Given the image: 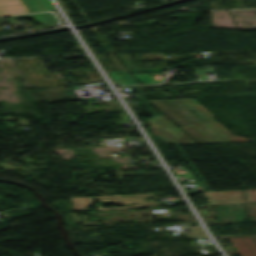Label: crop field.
<instances>
[{"mask_svg": "<svg viewBox=\"0 0 256 256\" xmlns=\"http://www.w3.org/2000/svg\"><path fill=\"white\" fill-rule=\"evenodd\" d=\"M252 238H253V237H252ZM254 238H255V240H256V237H254ZM254 238H253V239H254Z\"/></svg>", "mask_w": 256, "mask_h": 256, "instance_id": "crop-field-11", "label": "crop field"}, {"mask_svg": "<svg viewBox=\"0 0 256 256\" xmlns=\"http://www.w3.org/2000/svg\"><path fill=\"white\" fill-rule=\"evenodd\" d=\"M150 127L174 125L163 115H154L148 119Z\"/></svg>", "mask_w": 256, "mask_h": 256, "instance_id": "crop-field-9", "label": "crop field"}, {"mask_svg": "<svg viewBox=\"0 0 256 256\" xmlns=\"http://www.w3.org/2000/svg\"><path fill=\"white\" fill-rule=\"evenodd\" d=\"M7 20L9 21V22H12V21H14L13 19H11V18H7Z\"/></svg>", "mask_w": 256, "mask_h": 256, "instance_id": "crop-field-10", "label": "crop field"}, {"mask_svg": "<svg viewBox=\"0 0 256 256\" xmlns=\"http://www.w3.org/2000/svg\"><path fill=\"white\" fill-rule=\"evenodd\" d=\"M179 127L182 128L187 134H189L197 142H200V143L219 142L200 124L183 125Z\"/></svg>", "mask_w": 256, "mask_h": 256, "instance_id": "crop-field-4", "label": "crop field"}, {"mask_svg": "<svg viewBox=\"0 0 256 256\" xmlns=\"http://www.w3.org/2000/svg\"><path fill=\"white\" fill-rule=\"evenodd\" d=\"M240 256H256V243L251 237L228 238Z\"/></svg>", "mask_w": 256, "mask_h": 256, "instance_id": "crop-field-3", "label": "crop field"}, {"mask_svg": "<svg viewBox=\"0 0 256 256\" xmlns=\"http://www.w3.org/2000/svg\"><path fill=\"white\" fill-rule=\"evenodd\" d=\"M176 124L188 123L160 99L148 100Z\"/></svg>", "mask_w": 256, "mask_h": 256, "instance_id": "crop-field-6", "label": "crop field"}, {"mask_svg": "<svg viewBox=\"0 0 256 256\" xmlns=\"http://www.w3.org/2000/svg\"><path fill=\"white\" fill-rule=\"evenodd\" d=\"M28 12L20 0H0V15Z\"/></svg>", "mask_w": 256, "mask_h": 256, "instance_id": "crop-field-5", "label": "crop field"}, {"mask_svg": "<svg viewBox=\"0 0 256 256\" xmlns=\"http://www.w3.org/2000/svg\"><path fill=\"white\" fill-rule=\"evenodd\" d=\"M166 144L195 143L177 126L152 129Z\"/></svg>", "mask_w": 256, "mask_h": 256, "instance_id": "crop-field-2", "label": "crop field"}, {"mask_svg": "<svg viewBox=\"0 0 256 256\" xmlns=\"http://www.w3.org/2000/svg\"><path fill=\"white\" fill-rule=\"evenodd\" d=\"M152 197V200L144 201L143 198H149ZM154 194H144V195H119V196H99L95 197L98 198L99 201L105 202L104 204H129V203H142V204H136L132 206L127 207H118V208H109V209H128V208H136V207H156L153 205ZM73 204L74 211L80 210L84 211L87 210L86 205L89 206L92 204V197H79V198H69ZM109 200H112L113 202H107ZM109 209H103L102 205L98 206L97 210H109Z\"/></svg>", "mask_w": 256, "mask_h": 256, "instance_id": "crop-field-1", "label": "crop field"}, {"mask_svg": "<svg viewBox=\"0 0 256 256\" xmlns=\"http://www.w3.org/2000/svg\"><path fill=\"white\" fill-rule=\"evenodd\" d=\"M33 16L35 21L45 26L57 25V20L54 18L52 13H39V14H28L22 16H15V18Z\"/></svg>", "mask_w": 256, "mask_h": 256, "instance_id": "crop-field-8", "label": "crop field"}, {"mask_svg": "<svg viewBox=\"0 0 256 256\" xmlns=\"http://www.w3.org/2000/svg\"><path fill=\"white\" fill-rule=\"evenodd\" d=\"M30 12L54 10L49 0H22Z\"/></svg>", "mask_w": 256, "mask_h": 256, "instance_id": "crop-field-7", "label": "crop field"}]
</instances>
